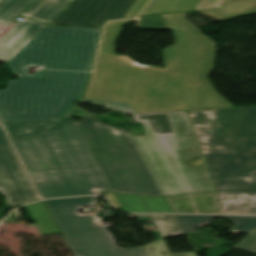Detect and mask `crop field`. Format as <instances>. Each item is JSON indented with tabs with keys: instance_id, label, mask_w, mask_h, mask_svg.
I'll return each mask as SVG.
<instances>
[{
	"instance_id": "1",
	"label": "crop field",
	"mask_w": 256,
	"mask_h": 256,
	"mask_svg": "<svg viewBox=\"0 0 256 256\" xmlns=\"http://www.w3.org/2000/svg\"><path fill=\"white\" fill-rule=\"evenodd\" d=\"M185 13L141 17L143 29H173L175 44L163 51L165 68L115 55L121 23L104 27L94 72L83 98L129 102L138 113L233 107L207 76L214 68L212 40L184 19Z\"/></svg>"
},
{
	"instance_id": "26",
	"label": "crop field",
	"mask_w": 256,
	"mask_h": 256,
	"mask_svg": "<svg viewBox=\"0 0 256 256\" xmlns=\"http://www.w3.org/2000/svg\"><path fill=\"white\" fill-rule=\"evenodd\" d=\"M232 0H200L193 10L210 9L214 6L227 3Z\"/></svg>"
},
{
	"instance_id": "19",
	"label": "crop field",
	"mask_w": 256,
	"mask_h": 256,
	"mask_svg": "<svg viewBox=\"0 0 256 256\" xmlns=\"http://www.w3.org/2000/svg\"><path fill=\"white\" fill-rule=\"evenodd\" d=\"M72 0H48L29 19L38 20L49 24Z\"/></svg>"
},
{
	"instance_id": "17",
	"label": "crop field",
	"mask_w": 256,
	"mask_h": 256,
	"mask_svg": "<svg viewBox=\"0 0 256 256\" xmlns=\"http://www.w3.org/2000/svg\"><path fill=\"white\" fill-rule=\"evenodd\" d=\"M198 1L199 0H152L141 15L192 10Z\"/></svg>"
},
{
	"instance_id": "10",
	"label": "crop field",
	"mask_w": 256,
	"mask_h": 256,
	"mask_svg": "<svg viewBox=\"0 0 256 256\" xmlns=\"http://www.w3.org/2000/svg\"><path fill=\"white\" fill-rule=\"evenodd\" d=\"M30 182L12 148L0 149V193L6 194Z\"/></svg>"
},
{
	"instance_id": "24",
	"label": "crop field",
	"mask_w": 256,
	"mask_h": 256,
	"mask_svg": "<svg viewBox=\"0 0 256 256\" xmlns=\"http://www.w3.org/2000/svg\"><path fill=\"white\" fill-rule=\"evenodd\" d=\"M234 249L256 254V230L252 232L246 239H244Z\"/></svg>"
},
{
	"instance_id": "7",
	"label": "crop field",
	"mask_w": 256,
	"mask_h": 256,
	"mask_svg": "<svg viewBox=\"0 0 256 256\" xmlns=\"http://www.w3.org/2000/svg\"><path fill=\"white\" fill-rule=\"evenodd\" d=\"M92 197L46 200L55 221L75 256H147L143 247L120 249L107 229L93 217H79L74 209L92 202Z\"/></svg>"
},
{
	"instance_id": "29",
	"label": "crop field",
	"mask_w": 256,
	"mask_h": 256,
	"mask_svg": "<svg viewBox=\"0 0 256 256\" xmlns=\"http://www.w3.org/2000/svg\"><path fill=\"white\" fill-rule=\"evenodd\" d=\"M107 196H108V198L111 199V201H112V203H113L114 205H116L119 209H121V207H120L119 204L117 203V201H116V199H115L113 193L107 194Z\"/></svg>"
},
{
	"instance_id": "13",
	"label": "crop field",
	"mask_w": 256,
	"mask_h": 256,
	"mask_svg": "<svg viewBox=\"0 0 256 256\" xmlns=\"http://www.w3.org/2000/svg\"><path fill=\"white\" fill-rule=\"evenodd\" d=\"M114 195L124 211L172 213L165 197H142L117 193Z\"/></svg>"
},
{
	"instance_id": "23",
	"label": "crop field",
	"mask_w": 256,
	"mask_h": 256,
	"mask_svg": "<svg viewBox=\"0 0 256 256\" xmlns=\"http://www.w3.org/2000/svg\"><path fill=\"white\" fill-rule=\"evenodd\" d=\"M148 256H197L195 252L172 254L162 241H157L144 246Z\"/></svg>"
},
{
	"instance_id": "12",
	"label": "crop field",
	"mask_w": 256,
	"mask_h": 256,
	"mask_svg": "<svg viewBox=\"0 0 256 256\" xmlns=\"http://www.w3.org/2000/svg\"><path fill=\"white\" fill-rule=\"evenodd\" d=\"M179 223L181 224L184 232H194L198 226H206L214 216H189V215H176ZM229 218L237 223L230 232L250 234L256 229V217L249 216H222Z\"/></svg>"
},
{
	"instance_id": "21",
	"label": "crop field",
	"mask_w": 256,
	"mask_h": 256,
	"mask_svg": "<svg viewBox=\"0 0 256 256\" xmlns=\"http://www.w3.org/2000/svg\"><path fill=\"white\" fill-rule=\"evenodd\" d=\"M80 102L104 104L106 109L122 111L123 114H134L137 113L129 103L123 102H111V101H99V100H87L81 99ZM77 103L71 112L66 117L72 116H95V114L87 113L77 107Z\"/></svg>"
},
{
	"instance_id": "15",
	"label": "crop field",
	"mask_w": 256,
	"mask_h": 256,
	"mask_svg": "<svg viewBox=\"0 0 256 256\" xmlns=\"http://www.w3.org/2000/svg\"><path fill=\"white\" fill-rule=\"evenodd\" d=\"M60 119L1 122L8 136L28 138L40 135Z\"/></svg>"
},
{
	"instance_id": "14",
	"label": "crop field",
	"mask_w": 256,
	"mask_h": 256,
	"mask_svg": "<svg viewBox=\"0 0 256 256\" xmlns=\"http://www.w3.org/2000/svg\"><path fill=\"white\" fill-rule=\"evenodd\" d=\"M198 13L223 21L256 13V0H236L215 9Z\"/></svg>"
},
{
	"instance_id": "22",
	"label": "crop field",
	"mask_w": 256,
	"mask_h": 256,
	"mask_svg": "<svg viewBox=\"0 0 256 256\" xmlns=\"http://www.w3.org/2000/svg\"><path fill=\"white\" fill-rule=\"evenodd\" d=\"M4 196H6V202H7L8 208L39 198L31 182Z\"/></svg>"
},
{
	"instance_id": "5",
	"label": "crop field",
	"mask_w": 256,
	"mask_h": 256,
	"mask_svg": "<svg viewBox=\"0 0 256 256\" xmlns=\"http://www.w3.org/2000/svg\"><path fill=\"white\" fill-rule=\"evenodd\" d=\"M146 136H133L164 195L213 190L185 111L132 115Z\"/></svg>"
},
{
	"instance_id": "20",
	"label": "crop field",
	"mask_w": 256,
	"mask_h": 256,
	"mask_svg": "<svg viewBox=\"0 0 256 256\" xmlns=\"http://www.w3.org/2000/svg\"><path fill=\"white\" fill-rule=\"evenodd\" d=\"M34 0H0V23L8 25Z\"/></svg>"
},
{
	"instance_id": "3",
	"label": "crop field",
	"mask_w": 256,
	"mask_h": 256,
	"mask_svg": "<svg viewBox=\"0 0 256 256\" xmlns=\"http://www.w3.org/2000/svg\"><path fill=\"white\" fill-rule=\"evenodd\" d=\"M223 214H256V107L188 112Z\"/></svg>"
},
{
	"instance_id": "18",
	"label": "crop field",
	"mask_w": 256,
	"mask_h": 256,
	"mask_svg": "<svg viewBox=\"0 0 256 256\" xmlns=\"http://www.w3.org/2000/svg\"><path fill=\"white\" fill-rule=\"evenodd\" d=\"M139 218L152 217L163 238L185 234L175 215H138Z\"/></svg>"
},
{
	"instance_id": "27",
	"label": "crop field",
	"mask_w": 256,
	"mask_h": 256,
	"mask_svg": "<svg viewBox=\"0 0 256 256\" xmlns=\"http://www.w3.org/2000/svg\"><path fill=\"white\" fill-rule=\"evenodd\" d=\"M46 0L35 1L26 11H24L21 16L28 17L32 12H34L43 2Z\"/></svg>"
},
{
	"instance_id": "30",
	"label": "crop field",
	"mask_w": 256,
	"mask_h": 256,
	"mask_svg": "<svg viewBox=\"0 0 256 256\" xmlns=\"http://www.w3.org/2000/svg\"><path fill=\"white\" fill-rule=\"evenodd\" d=\"M0 136H5V134H4V132H3L2 128H1V126H0Z\"/></svg>"
},
{
	"instance_id": "11",
	"label": "crop field",
	"mask_w": 256,
	"mask_h": 256,
	"mask_svg": "<svg viewBox=\"0 0 256 256\" xmlns=\"http://www.w3.org/2000/svg\"><path fill=\"white\" fill-rule=\"evenodd\" d=\"M166 199L173 213L222 214L214 192Z\"/></svg>"
},
{
	"instance_id": "4",
	"label": "crop field",
	"mask_w": 256,
	"mask_h": 256,
	"mask_svg": "<svg viewBox=\"0 0 256 256\" xmlns=\"http://www.w3.org/2000/svg\"><path fill=\"white\" fill-rule=\"evenodd\" d=\"M42 198L112 192L71 118L31 140L11 138Z\"/></svg>"
},
{
	"instance_id": "8",
	"label": "crop field",
	"mask_w": 256,
	"mask_h": 256,
	"mask_svg": "<svg viewBox=\"0 0 256 256\" xmlns=\"http://www.w3.org/2000/svg\"><path fill=\"white\" fill-rule=\"evenodd\" d=\"M134 0H75L51 24L101 27L108 19L123 17Z\"/></svg>"
},
{
	"instance_id": "16",
	"label": "crop field",
	"mask_w": 256,
	"mask_h": 256,
	"mask_svg": "<svg viewBox=\"0 0 256 256\" xmlns=\"http://www.w3.org/2000/svg\"><path fill=\"white\" fill-rule=\"evenodd\" d=\"M42 235L59 233L61 230L52 218L45 202L26 205Z\"/></svg>"
},
{
	"instance_id": "9",
	"label": "crop field",
	"mask_w": 256,
	"mask_h": 256,
	"mask_svg": "<svg viewBox=\"0 0 256 256\" xmlns=\"http://www.w3.org/2000/svg\"><path fill=\"white\" fill-rule=\"evenodd\" d=\"M45 27L28 20L12 27L0 38V61L7 63Z\"/></svg>"
},
{
	"instance_id": "2",
	"label": "crop field",
	"mask_w": 256,
	"mask_h": 256,
	"mask_svg": "<svg viewBox=\"0 0 256 256\" xmlns=\"http://www.w3.org/2000/svg\"><path fill=\"white\" fill-rule=\"evenodd\" d=\"M100 29L47 26L6 65L20 79L8 80L0 90V121L63 118L79 99L89 71Z\"/></svg>"
},
{
	"instance_id": "25",
	"label": "crop field",
	"mask_w": 256,
	"mask_h": 256,
	"mask_svg": "<svg viewBox=\"0 0 256 256\" xmlns=\"http://www.w3.org/2000/svg\"><path fill=\"white\" fill-rule=\"evenodd\" d=\"M148 1L149 0H136L127 11L124 18L138 16Z\"/></svg>"
},
{
	"instance_id": "6",
	"label": "crop field",
	"mask_w": 256,
	"mask_h": 256,
	"mask_svg": "<svg viewBox=\"0 0 256 256\" xmlns=\"http://www.w3.org/2000/svg\"><path fill=\"white\" fill-rule=\"evenodd\" d=\"M81 118L75 125L112 191L163 195L128 131Z\"/></svg>"
},
{
	"instance_id": "28",
	"label": "crop field",
	"mask_w": 256,
	"mask_h": 256,
	"mask_svg": "<svg viewBox=\"0 0 256 256\" xmlns=\"http://www.w3.org/2000/svg\"><path fill=\"white\" fill-rule=\"evenodd\" d=\"M11 147L10 143L8 142L7 138L0 139V148Z\"/></svg>"
}]
</instances>
